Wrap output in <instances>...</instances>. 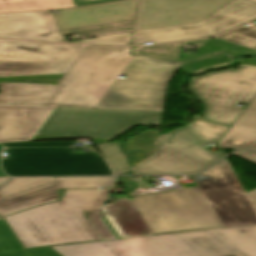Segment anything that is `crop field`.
<instances>
[{
	"label": "crop field",
	"mask_w": 256,
	"mask_h": 256,
	"mask_svg": "<svg viewBox=\"0 0 256 256\" xmlns=\"http://www.w3.org/2000/svg\"><path fill=\"white\" fill-rule=\"evenodd\" d=\"M1 150H2V146L0 145V152H1ZM0 176H7V175H5V174L2 172L1 168H0Z\"/></svg>",
	"instance_id": "crop-field-38"
},
{
	"label": "crop field",
	"mask_w": 256,
	"mask_h": 256,
	"mask_svg": "<svg viewBox=\"0 0 256 256\" xmlns=\"http://www.w3.org/2000/svg\"><path fill=\"white\" fill-rule=\"evenodd\" d=\"M182 62L134 56L97 108L162 111L167 85Z\"/></svg>",
	"instance_id": "crop-field-6"
},
{
	"label": "crop field",
	"mask_w": 256,
	"mask_h": 256,
	"mask_svg": "<svg viewBox=\"0 0 256 256\" xmlns=\"http://www.w3.org/2000/svg\"><path fill=\"white\" fill-rule=\"evenodd\" d=\"M54 180L55 178H15L7 183L0 190V195L5 197L23 190L43 185Z\"/></svg>",
	"instance_id": "crop-field-27"
},
{
	"label": "crop field",
	"mask_w": 256,
	"mask_h": 256,
	"mask_svg": "<svg viewBox=\"0 0 256 256\" xmlns=\"http://www.w3.org/2000/svg\"><path fill=\"white\" fill-rule=\"evenodd\" d=\"M158 132L159 130H147L140 133L138 137H131L127 141L126 148L132 154V166L155 154Z\"/></svg>",
	"instance_id": "crop-field-23"
},
{
	"label": "crop field",
	"mask_w": 256,
	"mask_h": 256,
	"mask_svg": "<svg viewBox=\"0 0 256 256\" xmlns=\"http://www.w3.org/2000/svg\"><path fill=\"white\" fill-rule=\"evenodd\" d=\"M242 63L256 66V59H245L242 61Z\"/></svg>",
	"instance_id": "crop-field-36"
},
{
	"label": "crop field",
	"mask_w": 256,
	"mask_h": 256,
	"mask_svg": "<svg viewBox=\"0 0 256 256\" xmlns=\"http://www.w3.org/2000/svg\"><path fill=\"white\" fill-rule=\"evenodd\" d=\"M68 43L98 44V45H131V33L72 41Z\"/></svg>",
	"instance_id": "crop-field-29"
},
{
	"label": "crop field",
	"mask_w": 256,
	"mask_h": 256,
	"mask_svg": "<svg viewBox=\"0 0 256 256\" xmlns=\"http://www.w3.org/2000/svg\"><path fill=\"white\" fill-rule=\"evenodd\" d=\"M256 18V5L234 0L199 23L133 32V45L208 37Z\"/></svg>",
	"instance_id": "crop-field-11"
},
{
	"label": "crop field",
	"mask_w": 256,
	"mask_h": 256,
	"mask_svg": "<svg viewBox=\"0 0 256 256\" xmlns=\"http://www.w3.org/2000/svg\"><path fill=\"white\" fill-rule=\"evenodd\" d=\"M248 195H249L254 207L256 208V190L248 192Z\"/></svg>",
	"instance_id": "crop-field-35"
},
{
	"label": "crop field",
	"mask_w": 256,
	"mask_h": 256,
	"mask_svg": "<svg viewBox=\"0 0 256 256\" xmlns=\"http://www.w3.org/2000/svg\"><path fill=\"white\" fill-rule=\"evenodd\" d=\"M8 175H113L96 153L74 154L70 148H8L2 160Z\"/></svg>",
	"instance_id": "crop-field-8"
},
{
	"label": "crop field",
	"mask_w": 256,
	"mask_h": 256,
	"mask_svg": "<svg viewBox=\"0 0 256 256\" xmlns=\"http://www.w3.org/2000/svg\"><path fill=\"white\" fill-rule=\"evenodd\" d=\"M217 37L256 48V27L254 26L249 28L239 27Z\"/></svg>",
	"instance_id": "crop-field-28"
},
{
	"label": "crop field",
	"mask_w": 256,
	"mask_h": 256,
	"mask_svg": "<svg viewBox=\"0 0 256 256\" xmlns=\"http://www.w3.org/2000/svg\"><path fill=\"white\" fill-rule=\"evenodd\" d=\"M88 219L91 220V222L93 223L96 231L99 233V237L101 240H105V239H113L115 238L111 232L108 230V228L106 227V225L104 224L103 220L101 219V217L99 216L98 212H85Z\"/></svg>",
	"instance_id": "crop-field-31"
},
{
	"label": "crop field",
	"mask_w": 256,
	"mask_h": 256,
	"mask_svg": "<svg viewBox=\"0 0 256 256\" xmlns=\"http://www.w3.org/2000/svg\"><path fill=\"white\" fill-rule=\"evenodd\" d=\"M220 146L256 150V97L222 139Z\"/></svg>",
	"instance_id": "crop-field-19"
},
{
	"label": "crop field",
	"mask_w": 256,
	"mask_h": 256,
	"mask_svg": "<svg viewBox=\"0 0 256 256\" xmlns=\"http://www.w3.org/2000/svg\"><path fill=\"white\" fill-rule=\"evenodd\" d=\"M53 109L0 104V142L30 141Z\"/></svg>",
	"instance_id": "crop-field-16"
},
{
	"label": "crop field",
	"mask_w": 256,
	"mask_h": 256,
	"mask_svg": "<svg viewBox=\"0 0 256 256\" xmlns=\"http://www.w3.org/2000/svg\"><path fill=\"white\" fill-rule=\"evenodd\" d=\"M9 177H0V185L4 183Z\"/></svg>",
	"instance_id": "crop-field-37"
},
{
	"label": "crop field",
	"mask_w": 256,
	"mask_h": 256,
	"mask_svg": "<svg viewBox=\"0 0 256 256\" xmlns=\"http://www.w3.org/2000/svg\"><path fill=\"white\" fill-rule=\"evenodd\" d=\"M226 51L233 56L238 55H256V51L241 46H237L231 43H227L221 40L213 38L211 41L197 49L194 53L188 56L187 60L197 59L203 57L209 53Z\"/></svg>",
	"instance_id": "crop-field-24"
},
{
	"label": "crop field",
	"mask_w": 256,
	"mask_h": 256,
	"mask_svg": "<svg viewBox=\"0 0 256 256\" xmlns=\"http://www.w3.org/2000/svg\"><path fill=\"white\" fill-rule=\"evenodd\" d=\"M73 1L76 6H79V5L98 3V2H104V1H110V0H73Z\"/></svg>",
	"instance_id": "crop-field-34"
},
{
	"label": "crop field",
	"mask_w": 256,
	"mask_h": 256,
	"mask_svg": "<svg viewBox=\"0 0 256 256\" xmlns=\"http://www.w3.org/2000/svg\"><path fill=\"white\" fill-rule=\"evenodd\" d=\"M237 156H240L244 159H247L251 162L256 163V153L255 152H247V151H237L235 153H233Z\"/></svg>",
	"instance_id": "crop-field-33"
},
{
	"label": "crop field",
	"mask_w": 256,
	"mask_h": 256,
	"mask_svg": "<svg viewBox=\"0 0 256 256\" xmlns=\"http://www.w3.org/2000/svg\"><path fill=\"white\" fill-rule=\"evenodd\" d=\"M131 57L130 47L85 46L64 75L0 78V102L94 107Z\"/></svg>",
	"instance_id": "crop-field-1"
},
{
	"label": "crop field",
	"mask_w": 256,
	"mask_h": 256,
	"mask_svg": "<svg viewBox=\"0 0 256 256\" xmlns=\"http://www.w3.org/2000/svg\"><path fill=\"white\" fill-rule=\"evenodd\" d=\"M3 218L0 219V256H59L49 247L23 250Z\"/></svg>",
	"instance_id": "crop-field-21"
},
{
	"label": "crop field",
	"mask_w": 256,
	"mask_h": 256,
	"mask_svg": "<svg viewBox=\"0 0 256 256\" xmlns=\"http://www.w3.org/2000/svg\"><path fill=\"white\" fill-rule=\"evenodd\" d=\"M114 177L56 178L57 188L111 187Z\"/></svg>",
	"instance_id": "crop-field-25"
},
{
	"label": "crop field",
	"mask_w": 256,
	"mask_h": 256,
	"mask_svg": "<svg viewBox=\"0 0 256 256\" xmlns=\"http://www.w3.org/2000/svg\"><path fill=\"white\" fill-rule=\"evenodd\" d=\"M162 112L55 107L31 141L91 137L107 143L136 125H160Z\"/></svg>",
	"instance_id": "crop-field-4"
},
{
	"label": "crop field",
	"mask_w": 256,
	"mask_h": 256,
	"mask_svg": "<svg viewBox=\"0 0 256 256\" xmlns=\"http://www.w3.org/2000/svg\"><path fill=\"white\" fill-rule=\"evenodd\" d=\"M228 128V126L215 124L199 115H194L188 127L171 131L165 142L213 164L223 158L221 153L210 152L202 146L220 140Z\"/></svg>",
	"instance_id": "crop-field-13"
},
{
	"label": "crop field",
	"mask_w": 256,
	"mask_h": 256,
	"mask_svg": "<svg viewBox=\"0 0 256 256\" xmlns=\"http://www.w3.org/2000/svg\"><path fill=\"white\" fill-rule=\"evenodd\" d=\"M63 256H256V226L53 247Z\"/></svg>",
	"instance_id": "crop-field-2"
},
{
	"label": "crop field",
	"mask_w": 256,
	"mask_h": 256,
	"mask_svg": "<svg viewBox=\"0 0 256 256\" xmlns=\"http://www.w3.org/2000/svg\"><path fill=\"white\" fill-rule=\"evenodd\" d=\"M232 0H139L133 31L195 23Z\"/></svg>",
	"instance_id": "crop-field-12"
},
{
	"label": "crop field",
	"mask_w": 256,
	"mask_h": 256,
	"mask_svg": "<svg viewBox=\"0 0 256 256\" xmlns=\"http://www.w3.org/2000/svg\"><path fill=\"white\" fill-rule=\"evenodd\" d=\"M168 133L159 138L156 155L134 167V175L195 174L210 165L164 143Z\"/></svg>",
	"instance_id": "crop-field-17"
},
{
	"label": "crop field",
	"mask_w": 256,
	"mask_h": 256,
	"mask_svg": "<svg viewBox=\"0 0 256 256\" xmlns=\"http://www.w3.org/2000/svg\"><path fill=\"white\" fill-rule=\"evenodd\" d=\"M190 91L205 106L204 118L231 126L256 94V67L240 64L238 70L214 72L189 81Z\"/></svg>",
	"instance_id": "crop-field-7"
},
{
	"label": "crop field",
	"mask_w": 256,
	"mask_h": 256,
	"mask_svg": "<svg viewBox=\"0 0 256 256\" xmlns=\"http://www.w3.org/2000/svg\"><path fill=\"white\" fill-rule=\"evenodd\" d=\"M251 1H254V2H256V0H251Z\"/></svg>",
	"instance_id": "crop-field-40"
},
{
	"label": "crop field",
	"mask_w": 256,
	"mask_h": 256,
	"mask_svg": "<svg viewBox=\"0 0 256 256\" xmlns=\"http://www.w3.org/2000/svg\"><path fill=\"white\" fill-rule=\"evenodd\" d=\"M131 198L154 235L223 228L198 187Z\"/></svg>",
	"instance_id": "crop-field-5"
},
{
	"label": "crop field",
	"mask_w": 256,
	"mask_h": 256,
	"mask_svg": "<svg viewBox=\"0 0 256 256\" xmlns=\"http://www.w3.org/2000/svg\"><path fill=\"white\" fill-rule=\"evenodd\" d=\"M56 200L55 181L5 198L0 196V216Z\"/></svg>",
	"instance_id": "crop-field-20"
},
{
	"label": "crop field",
	"mask_w": 256,
	"mask_h": 256,
	"mask_svg": "<svg viewBox=\"0 0 256 256\" xmlns=\"http://www.w3.org/2000/svg\"><path fill=\"white\" fill-rule=\"evenodd\" d=\"M228 61H229V59L226 55H220V56L210 57L206 60L190 62L188 64L181 65V67L179 69H181L182 71H194V70H198L202 67L226 63Z\"/></svg>",
	"instance_id": "crop-field-30"
},
{
	"label": "crop field",
	"mask_w": 256,
	"mask_h": 256,
	"mask_svg": "<svg viewBox=\"0 0 256 256\" xmlns=\"http://www.w3.org/2000/svg\"><path fill=\"white\" fill-rule=\"evenodd\" d=\"M122 145L123 143L100 145L116 174H120L130 169L128 164L129 155L122 149Z\"/></svg>",
	"instance_id": "crop-field-26"
},
{
	"label": "crop field",
	"mask_w": 256,
	"mask_h": 256,
	"mask_svg": "<svg viewBox=\"0 0 256 256\" xmlns=\"http://www.w3.org/2000/svg\"><path fill=\"white\" fill-rule=\"evenodd\" d=\"M72 6H75L72 0H0V14L47 11Z\"/></svg>",
	"instance_id": "crop-field-22"
},
{
	"label": "crop field",
	"mask_w": 256,
	"mask_h": 256,
	"mask_svg": "<svg viewBox=\"0 0 256 256\" xmlns=\"http://www.w3.org/2000/svg\"><path fill=\"white\" fill-rule=\"evenodd\" d=\"M74 142H40V143H13L3 144L5 147H67Z\"/></svg>",
	"instance_id": "crop-field-32"
},
{
	"label": "crop field",
	"mask_w": 256,
	"mask_h": 256,
	"mask_svg": "<svg viewBox=\"0 0 256 256\" xmlns=\"http://www.w3.org/2000/svg\"><path fill=\"white\" fill-rule=\"evenodd\" d=\"M138 47H133V52L132 54H135V52L137 51Z\"/></svg>",
	"instance_id": "crop-field-39"
},
{
	"label": "crop field",
	"mask_w": 256,
	"mask_h": 256,
	"mask_svg": "<svg viewBox=\"0 0 256 256\" xmlns=\"http://www.w3.org/2000/svg\"><path fill=\"white\" fill-rule=\"evenodd\" d=\"M102 210L121 238L152 235L129 199H115L114 204L103 205Z\"/></svg>",
	"instance_id": "crop-field-18"
},
{
	"label": "crop field",
	"mask_w": 256,
	"mask_h": 256,
	"mask_svg": "<svg viewBox=\"0 0 256 256\" xmlns=\"http://www.w3.org/2000/svg\"><path fill=\"white\" fill-rule=\"evenodd\" d=\"M193 179L224 228L256 225V210L227 159Z\"/></svg>",
	"instance_id": "crop-field-10"
},
{
	"label": "crop field",
	"mask_w": 256,
	"mask_h": 256,
	"mask_svg": "<svg viewBox=\"0 0 256 256\" xmlns=\"http://www.w3.org/2000/svg\"><path fill=\"white\" fill-rule=\"evenodd\" d=\"M0 37L65 42L50 11L0 15Z\"/></svg>",
	"instance_id": "crop-field-15"
},
{
	"label": "crop field",
	"mask_w": 256,
	"mask_h": 256,
	"mask_svg": "<svg viewBox=\"0 0 256 256\" xmlns=\"http://www.w3.org/2000/svg\"><path fill=\"white\" fill-rule=\"evenodd\" d=\"M83 48L0 40V77L66 73Z\"/></svg>",
	"instance_id": "crop-field-9"
},
{
	"label": "crop field",
	"mask_w": 256,
	"mask_h": 256,
	"mask_svg": "<svg viewBox=\"0 0 256 256\" xmlns=\"http://www.w3.org/2000/svg\"><path fill=\"white\" fill-rule=\"evenodd\" d=\"M111 189L67 190L55 202L4 217L24 248L99 240L82 210L101 209Z\"/></svg>",
	"instance_id": "crop-field-3"
},
{
	"label": "crop field",
	"mask_w": 256,
	"mask_h": 256,
	"mask_svg": "<svg viewBox=\"0 0 256 256\" xmlns=\"http://www.w3.org/2000/svg\"><path fill=\"white\" fill-rule=\"evenodd\" d=\"M137 0H124L57 10L54 15L61 30L133 19Z\"/></svg>",
	"instance_id": "crop-field-14"
}]
</instances>
